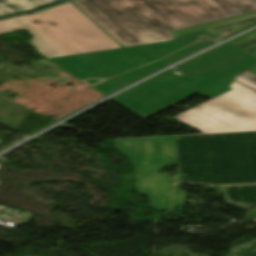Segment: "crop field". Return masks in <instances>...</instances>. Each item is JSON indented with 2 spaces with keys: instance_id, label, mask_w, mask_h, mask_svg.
I'll return each instance as SVG.
<instances>
[{
  "instance_id": "obj_7",
  "label": "crop field",
  "mask_w": 256,
  "mask_h": 256,
  "mask_svg": "<svg viewBox=\"0 0 256 256\" xmlns=\"http://www.w3.org/2000/svg\"><path fill=\"white\" fill-rule=\"evenodd\" d=\"M174 118L205 134L256 131V121L213 100Z\"/></svg>"
},
{
  "instance_id": "obj_11",
  "label": "crop field",
  "mask_w": 256,
  "mask_h": 256,
  "mask_svg": "<svg viewBox=\"0 0 256 256\" xmlns=\"http://www.w3.org/2000/svg\"><path fill=\"white\" fill-rule=\"evenodd\" d=\"M256 240L237 248L231 249L230 256H256Z\"/></svg>"
},
{
  "instance_id": "obj_6",
  "label": "crop field",
  "mask_w": 256,
  "mask_h": 256,
  "mask_svg": "<svg viewBox=\"0 0 256 256\" xmlns=\"http://www.w3.org/2000/svg\"><path fill=\"white\" fill-rule=\"evenodd\" d=\"M116 143L140 173L138 193L149 195L157 211L169 208L173 178L158 174L157 169L176 166L174 137L124 139Z\"/></svg>"
},
{
  "instance_id": "obj_12",
  "label": "crop field",
  "mask_w": 256,
  "mask_h": 256,
  "mask_svg": "<svg viewBox=\"0 0 256 256\" xmlns=\"http://www.w3.org/2000/svg\"><path fill=\"white\" fill-rule=\"evenodd\" d=\"M235 79L256 90V75L245 71L236 76Z\"/></svg>"
},
{
  "instance_id": "obj_10",
  "label": "crop field",
  "mask_w": 256,
  "mask_h": 256,
  "mask_svg": "<svg viewBox=\"0 0 256 256\" xmlns=\"http://www.w3.org/2000/svg\"><path fill=\"white\" fill-rule=\"evenodd\" d=\"M228 203L243 207H251L256 204V185L225 186Z\"/></svg>"
},
{
  "instance_id": "obj_9",
  "label": "crop field",
  "mask_w": 256,
  "mask_h": 256,
  "mask_svg": "<svg viewBox=\"0 0 256 256\" xmlns=\"http://www.w3.org/2000/svg\"><path fill=\"white\" fill-rule=\"evenodd\" d=\"M67 0H0V19L38 11Z\"/></svg>"
},
{
  "instance_id": "obj_8",
  "label": "crop field",
  "mask_w": 256,
  "mask_h": 256,
  "mask_svg": "<svg viewBox=\"0 0 256 256\" xmlns=\"http://www.w3.org/2000/svg\"><path fill=\"white\" fill-rule=\"evenodd\" d=\"M233 90L213 99L256 120V92L233 81Z\"/></svg>"
},
{
  "instance_id": "obj_3",
  "label": "crop field",
  "mask_w": 256,
  "mask_h": 256,
  "mask_svg": "<svg viewBox=\"0 0 256 256\" xmlns=\"http://www.w3.org/2000/svg\"><path fill=\"white\" fill-rule=\"evenodd\" d=\"M176 41L50 59L74 77L108 94L218 39L201 31Z\"/></svg>"
},
{
  "instance_id": "obj_5",
  "label": "crop field",
  "mask_w": 256,
  "mask_h": 256,
  "mask_svg": "<svg viewBox=\"0 0 256 256\" xmlns=\"http://www.w3.org/2000/svg\"><path fill=\"white\" fill-rule=\"evenodd\" d=\"M23 28L47 59L123 48L71 2L0 21V34Z\"/></svg>"
},
{
  "instance_id": "obj_1",
  "label": "crop field",
  "mask_w": 256,
  "mask_h": 256,
  "mask_svg": "<svg viewBox=\"0 0 256 256\" xmlns=\"http://www.w3.org/2000/svg\"><path fill=\"white\" fill-rule=\"evenodd\" d=\"M123 47L175 40L169 31L256 10V0L72 1Z\"/></svg>"
},
{
  "instance_id": "obj_14",
  "label": "crop field",
  "mask_w": 256,
  "mask_h": 256,
  "mask_svg": "<svg viewBox=\"0 0 256 256\" xmlns=\"http://www.w3.org/2000/svg\"><path fill=\"white\" fill-rule=\"evenodd\" d=\"M175 183H179L178 176L176 177Z\"/></svg>"
},
{
  "instance_id": "obj_13",
  "label": "crop field",
  "mask_w": 256,
  "mask_h": 256,
  "mask_svg": "<svg viewBox=\"0 0 256 256\" xmlns=\"http://www.w3.org/2000/svg\"><path fill=\"white\" fill-rule=\"evenodd\" d=\"M185 192L179 191V185H175L173 207L180 206L184 204Z\"/></svg>"
},
{
  "instance_id": "obj_4",
  "label": "crop field",
  "mask_w": 256,
  "mask_h": 256,
  "mask_svg": "<svg viewBox=\"0 0 256 256\" xmlns=\"http://www.w3.org/2000/svg\"><path fill=\"white\" fill-rule=\"evenodd\" d=\"M180 182L256 183V132L175 137Z\"/></svg>"
},
{
  "instance_id": "obj_2",
  "label": "crop field",
  "mask_w": 256,
  "mask_h": 256,
  "mask_svg": "<svg viewBox=\"0 0 256 256\" xmlns=\"http://www.w3.org/2000/svg\"><path fill=\"white\" fill-rule=\"evenodd\" d=\"M256 59L225 44L111 99L141 118L193 94L211 99L231 90L232 77L252 66Z\"/></svg>"
}]
</instances>
